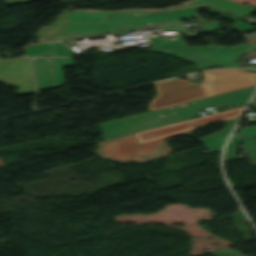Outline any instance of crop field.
<instances>
[{"mask_svg": "<svg viewBox=\"0 0 256 256\" xmlns=\"http://www.w3.org/2000/svg\"><path fill=\"white\" fill-rule=\"evenodd\" d=\"M256 83V69H232L204 72L201 85L179 78L155 83L157 96L149 110L159 109Z\"/></svg>", "mask_w": 256, "mask_h": 256, "instance_id": "obj_1", "label": "crop field"}, {"mask_svg": "<svg viewBox=\"0 0 256 256\" xmlns=\"http://www.w3.org/2000/svg\"><path fill=\"white\" fill-rule=\"evenodd\" d=\"M243 108L244 107L138 132L136 136L140 142V146L130 158V161L144 162L168 156L171 149L168 148L164 141L166 138L173 135H190L196 127L204 123L223 119H238Z\"/></svg>", "mask_w": 256, "mask_h": 256, "instance_id": "obj_2", "label": "crop field"}, {"mask_svg": "<svg viewBox=\"0 0 256 256\" xmlns=\"http://www.w3.org/2000/svg\"><path fill=\"white\" fill-rule=\"evenodd\" d=\"M139 145L134 134L123 137L102 141L98 143V149L93 153L98 156L114 160L116 162L126 163Z\"/></svg>", "mask_w": 256, "mask_h": 256, "instance_id": "obj_3", "label": "crop field"}, {"mask_svg": "<svg viewBox=\"0 0 256 256\" xmlns=\"http://www.w3.org/2000/svg\"><path fill=\"white\" fill-rule=\"evenodd\" d=\"M238 143L245 145L252 164L256 165V139L250 137L232 136L224 152V161L238 158L234 151V146Z\"/></svg>", "mask_w": 256, "mask_h": 256, "instance_id": "obj_4", "label": "crop field"}, {"mask_svg": "<svg viewBox=\"0 0 256 256\" xmlns=\"http://www.w3.org/2000/svg\"><path fill=\"white\" fill-rule=\"evenodd\" d=\"M225 129L221 132L213 133L206 137L199 139L205 143V146L208 150H218L222 149L224 142L226 141L233 125L226 124Z\"/></svg>", "mask_w": 256, "mask_h": 256, "instance_id": "obj_5", "label": "crop field"}, {"mask_svg": "<svg viewBox=\"0 0 256 256\" xmlns=\"http://www.w3.org/2000/svg\"><path fill=\"white\" fill-rule=\"evenodd\" d=\"M0 82H3L9 86L14 85L18 87V89L15 91L19 95L29 94L34 92L31 76L0 79Z\"/></svg>", "mask_w": 256, "mask_h": 256, "instance_id": "obj_6", "label": "crop field"}, {"mask_svg": "<svg viewBox=\"0 0 256 256\" xmlns=\"http://www.w3.org/2000/svg\"><path fill=\"white\" fill-rule=\"evenodd\" d=\"M254 107L256 108V104H254ZM237 135L256 137V126L240 127Z\"/></svg>", "mask_w": 256, "mask_h": 256, "instance_id": "obj_7", "label": "crop field"}, {"mask_svg": "<svg viewBox=\"0 0 256 256\" xmlns=\"http://www.w3.org/2000/svg\"><path fill=\"white\" fill-rule=\"evenodd\" d=\"M210 253H212L214 256H243L242 254L235 252L229 248L212 251Z\"/></svg>", "mask_w": 256, "mask_h": 256, "instance_id": "obj_8", "label": "crop field"}, {"mask_svg": "<svg viewBox=\"0 0 256 256\" xmlns=\"http://www.w3.org/2000/svg\"><path fill=\"white\" fill-rule=\"evenodd\" d=\"M233 66H238L236 62L233 63H228V64H224V65H220L218 67H233Z\"/></svg>", "mask_w": 256, "mask_h": 256, "instance_id": "obj_9", "label": "crop field"}, {"mask_svg": "<svg viewBox=\"0 0 256 256\" xmlns=\"http://www.w3.org/2000/svg\"><path fill=\"white\" fill-rule=\"evenodd\" d=\"M236 120H226V123L235 124Z\"/></svg>", "mask_w": 256, "mask_h": 256, "instance_id": "obj_10", "label": "crop field"}, {"mask_svg": "<svg viewBox=\"0 0 256 256\" xmlns=\"http://www.w3.org/2000/svg\"><path fill=\"white\" fill-rule=\"evenodd\" d=\"M249 67H256V65H253V66H249Z\"/></svg>", "mask_w": 256, "mask_h": 256, "instance_id": "obj_11", "label": "crop field"}]
</instances>
